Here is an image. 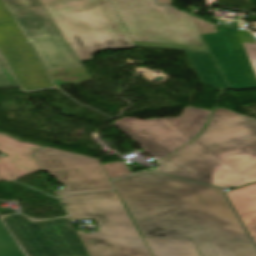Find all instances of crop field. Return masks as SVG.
Returning <instances> with one entry per match:
<instances>
[{
    "instance_id": "412701ff",
    "label": "crop field",
    "mask_w": 256,
    "mask_h": 256,
    "mask_svg": "<svg viewBox=\"0 0 256 256\" xmlns=\"http://www.w3.org/2000/svg\"><path fill=\"white\" fill-rule=\"evenodd\" d=\"M43 1L81 61L101 50L136 47L110 0Z\"/></svg>"
},
{
    "instance_id": "f4fd0767",
    "label": "crop field",
    "mask_w": 256,
    "mask_h": 256,
    "mask_svg": "<svg viewBox=\"0 0 256 256\" xmlns=\"http://www.w3.org/2000/svg\"><path fill=\"white\" fill-rule=\"evenodd\" d=\"M62 202L72 219L97 220L98 232L77 231L91 256H153L116 191L63 197Z\"/></svg>"
},
{
    "instance_id": "3316defc",
    "label": "crop field",
    "mask_w": 256,
    "mask_h": 256,
    "mask_svg": "<svg viewBox=\"0 0 256 256\" xmlns=\"http://www.w3.org/2000/svg\"><path fill=\"white\" fill-rule=\"evenodd\" d=\"M218 33L201 35L230 89L256 88V46L241 43L235 28L215 24Z\"/></svg>"
},
{
    "instance_id": "cbeb9de0",
    "label": "crop field",
    "mask_w": 256,
    "mask_h": 256,
    "mask_svg": "<svg viewBox=\"0 0 256 256\" xmlns=\"http://www.w3.org/2000/svg\"><path fill=\"white\" fill-rule=\"evenodd\" d=\"M203 83L219 89H229L211 53L185 51Z\"/></svg>"
},
{
    "instance_id": "dd49c442",
    "label": "crop field",
    "mask_w": 256,
    "mask_h": 256,
    "mask_svg": "<svg viewBox=\"0 0 256 256\" xmlns=\"http://www.w3.org/2000/svg\"><path fill=\"white\" fill-rule=\"evenodd\" d=\"M45 70L82 65L42 0H3Z\"/></svg>"
},
{
    "instance_id": "214f88e0",
    "label": "crop field",
    "mask_w": 256,
    "mask_h": 256,
    "mask_svg": "<svg viewBox=\"0 0 256 256\" xmlns=\"http://www.w3.org/2000/svg\"><path fill=\"white\" fill-rule=\"evenodd\" d=\"M159 2V4L161 5H165V4H171L172 1L171 0H157Z\"/></svg>"
},
{
    "instance_id": "bc2a9ffb",
    "label": "crop field",
    "mask_w": 256,
    "mask_h": 256,
    "mask_svg": "<svg viewBox=\"0 0 256 256\" xmlns=\"http://www.w3.org/2000/svg\"><path fill=\"white\" fill-rule=\"evenodd\" d=\"M14 18L10 14L9 10L5 6L2 0H0V22L12 21Z\"/></svg>"
},
{
    "instance_id": "8a807250",
    "label": "crop field",
    "mask_w": 256,
    "mask_h": 256,
    "mask_svg": "<svg viewBox=\"0 0 256 256\" xmlns=\"http://www.w3.org/2000/svg\"><path fill=\"white\" fill-rule=\"evenodd\" d=\"M113 182L144 237L192 240L201 256H256L219 188L148 171Z\"/></svg>"
},
{
    "instance_id": "d8731c3e",
    "label": "crop field",
    "mask_w": 256,
    "mask_h": 256,
    "mask_svg": "<svg viewBox=\"0 0 256 256\" xmlns=\"http://www.w3.org/2000/svg\"><path fill=\"white\" fill-rule=\"evenodd\" d=\"M28 256H90L69 218L30 221L22 215L2 217Z\"/></svg>"
},
{
    "instance_id": "d9b57169",
    "label": "crop field",
    "mask_w": 256,
    "mask_h": 256,
    "mask_svg": "<svg viewBox=\"0 0 256 256\" xmlns=\"http://www.w3.org/2000/svg\"><path fill=\"white\" fill-rule=\"evenodd\" d=\"M0 256H24L1 223Z\"/></svg>"
},
{
    "instance_id": "d1516ede",
    "label": "crop field",
    "mask_w": 256,
    "mask_h": 256,
    "mask_svg": "<svg viewBox=\"0 0 256 256\" xmlns=\"http://www.w3.org/2000/svg\"><path fill=\"white\" fill-rule=\"evenodd\" d=\"M41 146L20 142L0 134V151L10 155L0 157V176L4 181H16L17 177L39 170L32 153Z\"/></svg>"
},
{
    "instance_id": "ac0d7876",
    "label": "crop field",
    "mask_w": 256,
    "mask_h": 256,
    "mask_svg": "<svg viewBox=\"0 0 256 256\" xmlns=\"http://www.w3.org/2000/svg\"><path fill=\"white\" fill-rule=\"evenodd\" d=\"M155 171L220 187L256 181V121L218 108L205 131Z\"/></svg>"
},
{
    "instance_id": "28ad6ade",
    "label": "crop field",
    "mask_w": 256,
    "mask_h": 256,
    "mask_svg": "<svg viewBox=\"0 0 256 256\" xmlns=\"http://www.w3.org/2000/svg\"><path fill=\"white\" fill-rule=\"evenodd\" d=\"M16 22L0 24V52L26 91L52 87Z\"/></svg>"
},
{
    "instance_id": "4a817a6b",
    "label": "crop field",
    "mask_w": 256,
    "mask_h": 256,
    "mask_svg": "<svg viewBox=\"0 0 256 256\" xmlns=\"http://www.w3.org/2000/svg\"><path fill=\"white\" fill-rule=\"evenodd\" d=\"M111 179L120 177L126 174H130V171L126 165V163L115 162L111 164L104 165Z\"/></svg>"
},
{
    "instance_id": "733c2abd",
    "label": "crop field",
    "mask_w": 256,
    "mask_h": 256,
    "mask_svg": "<svg viewBox=\"0 0 256 256\" xmlns=\"http://www.w3.org/2000/svg\"><path fill=\"white\" fill-rule=\"evenodd\" d=\"M22 87L0 54V88Z\"/></svg>"
},
{
    "instance_id": "5a996713",
    "label": "crop field",
    "mask_w": 256,
    "mask_h": 256,
    "mask_svg": "<svg viewBox=\"0 0 256 256\" xmlns=\"http://www.w3.org/2000/svg\"><path fill=\"white\" fill-rule=\"evenodd\" d=\"M33 156L42 171L66 186L65 190L56 191L58 196L114 189L96 158L48 147L34 152Z\"/></svg>"
},
{
    "instance_id": "22f410ed",
    "label": "crop field",
    "mask_w": 256,
    "mask_h": 256,
    "mask_svg": "<svg viewBox=\"0 0 256 256\" xmlns=\"http://www.w3.org/2000/svg\"><path fill=\"white\" fill-rule=\"evenodd\" d=\"M226 194L256 242V183Z\"/></svg>"
},
{
    "instance_id": "34b2d1b8",
    "label": "crop field",
    "mask_w": 256,
    "mask_h": 256,
    "mask_svg": "<svg viewBox=\"0 0 256 256\" xmlns=\"http://www.w3.org/2000/svg\"><path fill=\"white\" fill-rule=\"evenodd\" d=\"M138 47L209 52L199 34L215 25L154 0H111Z\"/></svg>"
},
{
    "instance_id": "e52e79f7",
    "label": "crop field",
    "mask_w": 256,
    "mask_h": 256,
    "mask_svg": "<svg viewBox=\"0 0 256 256\" xmlns=\"http://www.w3.org/2000/svg\"><path fill=\"white\" fill-rule=\"evenodd\" d=\"M209 113L207 110L185 107L179 118L140 120L126 117L114 124L159 161L196 136L205 125Z\"/></svg>"
},
{
    "instance_id": "5142ce71",
    "label": "crop field",
    "mask_w": 256,
    "mask_h": 256,
    "mask_svg": "<svg viewBox=\"0 0 256 256\" xmlns=\"http://www.w3.org/2000/svg\"><path fill=\"white\" fill-rule=\"evenodd\" d=\"M154 256H200L192 241L143 238Z\"/></svg>"
},
{
    "instance_id": "92a150f3",
    "label": "crop field",
    "mask_w": 256,
    "mask_h": 256,
    "mask_svg": "<svg viewBox=\"0 0 256 256\" xmlns=\"http://www.w3.org/2000/svg\"><path fill=\"white\" fill-rule=\"evenodd\" d=\"M2 179H1V177H0V181H1Z\"/></svg>"
}]
</instances>
